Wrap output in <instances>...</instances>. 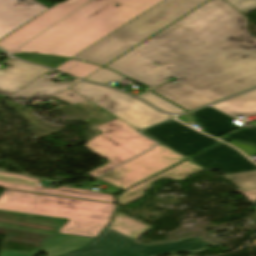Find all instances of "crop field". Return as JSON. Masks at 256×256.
I'll return each mask as SVG.
<instances>
[{
	"label": "crop field",
	"mask_w": 256,
	"mask_h": 256,
	"mask_svg": "<svg viewBox=\"0 0 256 256\" xmlns=\"http://www.w3.org/2000/svg\"><path fill=\"white\" fill-rule=\"evenodd\" d=\"M91 0H68L50 8L31 22L18 28L0 40V47L9 53L52 26Z\"/></svg>",
	"instance_id": "obj_10"
},
{
	"label": "crop field",
	"mask_w": 256,
	"mask_h": 256,
	"mask_svg": "<svg viewBox=\"0 0 256 256\" xmlns=\"http://www.w3.org/2000/svg\"><path fill=\"white\" fill-rule=\"evenodd\" d=\"M194 115L200 124L206 127V132L215 137L240 128L232 123L235 119L211 107L194 112Z\"/></svg>",
	"instance_id": "obj_18"
},
{
	"label": "crop field",
	"mask_w": 256,
	"mask_h": 256,
	"mask_svg": "<svg viewBox=\"0 0 256 256\" xmlns=\"http://www.w3.org/2000/svg\"><path fill=\"white\" fill-rule=\"evenodd\" d=\"M69 89L77 92L139 130L173 118L170 115L153 109L136 98H131L132 96L104 86L88 84L81 81Z\"/></svg>",
	"instance_id": "obj_7"
},
{
	"label": "crop field",
	"mask_w": 256,
	"mask_h": 256,
	"mask_svg": "<svg viewBox=\"0 0 256 256\" xmlns=\"http://www.w3.org/2000/svg\"><path fill=\"white\" fill-rule=\"evenodd\" d=\"M100 67L101 66L81 62L72 69L66 71L65 73L83 79L89 74L99 69Z\"/></svg>",
	"instance_id": "obj_27"
},
{
	"label": "crop field",
	"mask_w": 256,
	"mask_h": 256,
	"mask_svg": "<svg viewBox=\"0 0 256 256\" xmlns=\"http://www.w3.org/2000/svg\"><path fill=\"white\" fill-rule=\"evenodd\" d=\"M96 128L103 134L87 142L85 147L108 160L109 163L87 174L88 176H97L156 144L118 118Z\"/></svg>",
	"instance_id": "obj_6"
},
{
	"label": "crop field",
	"mask_w": 256,
	"mask_h": 256,
	"mask_svg": "<svg viewBox=\"0 0 256 256\" xmlns=\"http://www.w3.org/2000/svg\"><path fill=\"white\" fill-rule=\"evenodd\" d=\"M141 132L186 157L218 142L217 140L196 132L175 120L167 121Z\"/></svg>",
	"instance_id": "obj_9"
},
{
	"label": "crop field",
	"mask_w": 256,
	"mask_h": 256,
	"mask_svg": "<svg viewBox=\"0 0 256 256\" xmlns=\"http://www.w3.org/2000/svg\"><path fill=\"white\" fill-rule=\"evenodd\" d=\"M247 19L224 0H211L104 66L190 111L256 86V38ZM160 63L158 66L154 63Z\"/></svg>",
	"instance_id": "obj_1"
},
{
	"label": "crop field",
	"mask_w": 256,
	"mask_h": 256,
	"mask_svg": "<svg viewBox=\"0 0 256 256\" xmlns=\"http://www.w3.org/2000/svg\"><path fill=\"white\" fill-rule=\"evenodd\" d=\"M203 169L204 168L200 167L199 165H197L196 163H194L188 159V160L176 165L175 167L163 172L162 174L124 192L119 198H117L118 204H119V206L126 205V204L144 196L142 191L150 188L151 182H153L161 177L181 181L186 176H188L192 173L198 172L200 170H203Z\"/></svg>",
	"instance_id": "obj_16"
},
{
	"label": "crop field",
	"mask_w": 256,
	"mask_h": 256,
	"mask_svg": "<svg viewBox=\"0 0 256 256\" xmlns=\"http://www.w3.org/2000/svg\"><path fill=\"white\" fill-rule=\"evenodd\" d=\"M47 9L34 0H0V38L31 21Z\"/></svg>",
	"instance_id": "obj_12"
},
{
	"label": "crop field",
	"mask_w": 256,
	"mask_h": 256,
	"mask_svg": "<svg viewBox=\"0 0 256 256\" xmlns=\"http://www.w3.org/2000/svg\"><path fill=\"white\" fill-rule=\"evenodd\" d=\"M49 78L50 77L43 75L8 98L12 99L19 105L25 106L34 98L46 100L79 81L75 79L71 83L60 82L58 84H54L47 81ZM21 98L24 100L22 101Z\"/></svg>",
	"instance_id": "obj_15"
},
{
	"label": "crop field",
	"mask_w": 256,
	"mask_h": 256,
	"mask_svg": "<svg viewBox=\"0 0 256 256\" xmlns=\"http://www.w3.org/2000/svg\"><path fill=\"white\" fill-rule=\"evenodd\" d=\"M250 195L254 196L256 198V190L253 191H247Z\"/></svg>",
	"instance_id": "obj_35"
},
{
	"label": "crop field",
	"mask_w": 256,
	"mask_h": 256,
	"mask_svg": "<svg viewBox=\"0 0 256 256\" xmlns=\"http://www.w3.org/2000/svg\"><path fill=\"white\" fill-rule=\"evenodd\" d=\"M39 193L115 203L113 197L109 195L66 187L57 189L41 187Z\"/></svg>",
	"instance_id": "obj_21"
},
{
	"label": "crop field",
	"mask_w": 256,
	"mask_h": 256,
	"mask_svg": "<svg viewBox=\"0 0 256 256\" xmlns=\"http://www.w3.org/2000/svg\"><path fill=\"white\" fill-rule=\"evenodd\" d=\"M92 239L91 237L57 233V235L50 239L39 252H45L51 254V256H61L86 245ZM36 253L24 254L2 251L0 256H33Z\"/></svg>",
	"instance_id": "obj_17"
},
{
	"label": "crop field",
	"mask_w": 256,
	"mask_h": 256,
	"mask_svg": "<svg viewBox=\"0 0 256 256\" xmlns=\"http://www.w3.org/2000/svg\"><path fill=\"white\" fill-rule=\"evenodd\" d=\"M185 158L161 144L99 177V179L124 190Z\"/></svg>",
	"instance_id": "obj_8"
},
{
	"label": "crop field",
	"mask_w": 256,
	"mask_h": 256,
	"mask_svg": "<svg viewBox=\"0 0 256 256\" xmlns=\"http://www.w3.org/2000/svg\"><path fill=\"white\" fill-rule=\"evenodd\" d=\"M0 53H3V52L0 51Z\"/></svg>",
	"instance_id": "obj_36"
},
{
	"label": "crop field",
	"mask_w": 256,
	"mask_h": 256,
	"mask_svg": "<svg viewBox=\"0 0 256 256\" xmlns=\"http://www.w3.org/2000/svg\"><path fill=\"white\" fill-rule=\"evenodd\" d=\"M126 77L116 74L104 67L100 68L90 76L86 77L85 80H91L102 84H110L112 81L118 82Z\"/></svg>",
	"instance_id": "obj_25"
},
{
	"label": "crop field",
	"mask_w": 256,
	"mask_h": 256,
	"mask_svg": "<svg viewBox=\"0 0 256 256\" xmlns=\"http://www.w3.org/2000/svg\"><path fill=\"white\" fill-rule=\"evenodd\" d=\"M207 243L198 238H186L176 243L142 245L134 239L107 228L88 246L69 256H155L175 252L195 253L206 249Z\"/></svg>",
	"instance_id": "obj_5"
},
{
	"label": "crop field",
	"mask_w": 256,
	"mask_h": 256,
	"mask_svg": "<svg viewBox=\"0 0 256 256\" xmlns=\"http://www.w3.org/2000/svg\"><path fill=\"white\" fill-rule=\"evenodd\" d=\"M160 1L93 0L13 53L71 58Z\"/></svg>",
	"instance_id": "obj_2"
},
{
	"label": "crop field",
	"mask_w": 256,
	"mask_h": 256,
	"mask_svg": "<svg viewBox=\"0 0 256 256\" xmlns=\"http://www.w3.org/2000/svg\"><path fill=\"white\" fill-rule=\"evenodd\" d=\"M109 228L116 230L134 239L141 236L150 229L149 226L140 223L120 212H116L114 219Z\"/></svg>",
	"instance_id": "obj_20"
},
{
	"label": "crop field",
	"mask_w": 256,
	"mask_h": 256,
	"mask_svg": "<svg viewBox=\"0 0 256 256\" xmlns=\"http://www.w3.org/2000/svg\"><path fill=\"white\" fill-rule=\"evenodd\" d=\"M142 99L148 101L149 103L153 104L154 106L164 110L165 112H170V113H182L185 112L178 107L170 104L169 102L155 96L152 92L149 90L138 95Z\"/></svg>",
	"instance_id": "obj_24"
},
{
	"label": "crop field",
	"mask_w": 256,
	"mask_h": 256,
	"mask_svg": "<svg viewBox=\"0 0 256 256\" xmlns=\"http://www.w3.org/2000/svg\"><path fill=\"white\" fill-rule=\"evenodd\" d=\"M223 138L227 139H237L242 142H250L254 145H256V131L251 128H244L242 130H239L235 133H232L230 135H227Z\"/></svg>",
	"instance_id": "obj_28"
},
{
	"label": "crop field",
	"mask_w": 256,
	"mask_h": 256,
	"mask_svg": "<svg viewBox=\"0 0 256 256\" xmlns=\"http://www.w3.org/2000/svg\"><path fill=\"white\" fill-rule=\"evenodd\" d=\"M241 12L246 13L256 8V0H227Z\"/></svg>",
	"instance_id": "obj_30"
},
{
	"label": "crop field",
	"mask_w": 256,
	"mask_h": 256,
	"mask_svg": "<svg viewBox=\"0 0 256 256\" xmlns=\"http://www.w3.org/2000/svg\"><path fill=\"white\" fill-rule=\"evenodd\" d=\"M213 107L234 117L256 116V90L216 104Z\"/></svg>",
	"instance_id": "obj_19"
},
{
	"label": "crop field",
	"mask_w": 256,
	"mask_h": 256,
	"mask_svg": "<svg viewBox=\"0 0 256 256\" xmlns=\"http://www.w3.org/2000/svg\"><path fill=\"white\" fill-rule=\"evenodd\" d=\"M14 56H17L29 62L45 65L52 68L67 61L66 59H59V58L45 57V56H35V55H14Z\"/></svg>",
	"instance_id": "obj_26"
},
{
	"label": "crop field",
	"mask_w": 256,
	"mask_h": 256,
	"mask_svg": "<svg viewBox=\"0 0 256 256\" xmlns=\"http://www.w3.org/2000/svg\"><path fill=\"white\" fill-rule=\"evenodd\" d=\"M40 186L39 180L29 179L23 175L0 172V187L38 193Z\"/></svg>",
	"instance_id": "obj_22"
},
{
	"label": "crop field",
	"mask_w": 256,
	"mask_h": 256,
	"mask_svg": "<svg viewBox=\"0 0 256 256\" xmlns=\"http://www.w3.org/2000/svg\"><path fill=\"white\" fill-rule=\"evenodd\" d=\"M206 1L207 0H163L74 56L73 59L104 66Z\"/></svg>",
	"instance_id": "obj_4"
},
{
	"label": "crop field",
	"mask_w": 256,
	"mask_h": 256,
	"mask_svg": "<svg viewBox=\"0 0 256 256\" xmlns=\"http://www.w3.org/2000/svg\"><path fill=\"white\" fill-rule=\"evenodd\" d=\"M189 159L207 170H220L224 175L256 170V165L244 155L222 142Z\"/></svg>",
	"instance_id": "obj_11"
},
{
	"label": "crop field",
	"mask_w": 256,
	"mask_h": 256,
	"mask_svg": "<svg viewBox=\"0 0 256 256\" xmlns=\"http://www.w3.org/2000/svg\"><path fill=\"white\" fill-rule=\"evenodd\" d=\"M229 144L237 147L239 150H241L243 153H245L248 156L256 155V147L250 144H241L237 141L229 142Z\"/></svg>",
	"instance_id": "obj_31"
},
{
	"label": "crop field",
	"mask_w": 256,
	"mask_h": 256,
	"mask_svg": "<svg viewBox=\"0 0 256 256\" xmlns=\"http://www.w3.org/2000/svg\"><path fill=\"white\" fill-rule=\"evenodd\" d=\"M243 191L256 189V171L225 176Z\"/></svg>",
	"instance_id": "obj_23"
},
{
	"label": "crop field",
	"mask_w": 256,
	"mask_h": 256,
	"mask_svg": "<svg viewBox=\"0 0 256 256\" xmlns=\"http://www.w3.org/2000/svg\"><path fill=\"white\" fill-rule=\"evenodd\" d=\"M116 205L5 190L0 210L69 219L58 231L97 236L109 223Z\"/></svg>",
	"instance_id": "obj_3"
},
{
	"label": "crop field",
	"mask_w": 256,
	"mask_h": 256,
	"mask_svg": "<svg viewBox=\"0 0 256 256\" xmlns=\"http://www.w3.org/2000/svg\"><path fill=\"white\" fill-rule=\"evenodd\" d=\"M2 64L8 66L0 70V96L8 97L49 70L31 66L15 59H8Z\"/></svg>",
	"instance_id": "obj_13"
},
{
	"label": "crop field",
	"mask_w": 256,
	"mask_h": 256,
	"mask_svg": "<svg viewBox=\"0 0 256 256\" xmlns=\"http://www.w3.org/2000/svg\"><path fill=\"white\" fill-rule=\"evenodd\" d=\"M67 220L0 211V226L56 235Z\"/></svg>",
	"instance_id": "obj_14"
},
{
	"label": "crop field",
	"mask_w": 256,
	"mask_h": 256,
	"mask_svg": "<svg viewBox=\"0 0 256 256\" xmlns=\"http://www.w3.org/2000/svg\"><path fill=\"white\" fill-rule=\"evenodd\" d=\"M80 61H76V60H69L68 62L64 63L63 65L57 67L56 69L63 72L66 69H68L69 67L73 66L74 64L78 63Z\"/></svg>",
	"instance_id": "obj_32"
},
{
	"label": "crop field",
	"mask_w": 256,
	"mask_h": 256,
	"mask_svg": "<svg viewBox=\"0 0 256 256\" xmlns=\"http://www.w3.org/2000/svg\"><path fill=\"white\" fill-rule=\"evenodd\" d=\"M178 119L185 123L195 121L194 117L191 114H187L185 116H178Z\"/></svg>",
	"instance_id": "obj_33"
},
{
	"label": "crop field",
	"mask_w": 256,
	"mask_h": 256,
	"mask_svg": "<svg viewBox=\"0 0 256 256\" xmlns=\"http://www.w3.org/2000/svg\"><path fill=\"white\" fill-rule=\"evenodd\" d=\"M55 99L66 101L70 104H77V103L86 101L85 98H83L82 96L78 95L77 93H75L69 89L66 90L65 92L61 93L57 97H55Z\"/></svg>",
	"instance_id": "obj_29"
},
{
	"label": "crop field",
	"mask_w": 256,
	"mask_h": 256,
	"mask_svg": "<svg viewBox=\"0 0 256 256\" xmlns=\"http://www.w3.org/2000/svg\"><path fill=\"white\" fill-rule=\"evenodd\" d=\"M233 192H239L241 193L244 197H246L249 201H254L256 200L254 197L250 196L249 194L240 191L239 189L234 190Z\"/></svg>",
	"instance_id": "obj_34"
}]
</instances>
